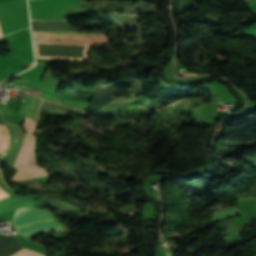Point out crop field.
Returning a JSON list of instances; mask_svg holds the SVG:
<instances>
[{"mask_svg": "<svg viewBox=\"0 0 256 256\" xmlns=\"http://www.w3.org/2000/svg\"><path fill=\"white\" fill-rule=\"evenodd\" d=\"M41 98H44L46 100H53V101H56V102H59V103L62 101L61 98H57L55 96L47 95V94H44V93H42Z\"/></svg>", "mask_w": 256, "mask_h": 256, "instance_id": "7", "label": "crop field"}, {"mask_svg": "<svg viewBox=\"0 0 256 256\" xmlns=\"http://www.w3.org/2000/svg\"><path fill=\"white\" fill-rule=\"evenodd\" d=\"M17 256H43L41 254H38L36 252H33V251H30V250H27V249H24L22 248L21 251L18 253Z\"/></svg>", "mask_w": 256, "mask_h": 256, "instance_id": "6", "label": "crop field"}, {"mask_svg": "<svg viewBox=\"0 0 256 256\" xmlns=\"http://www.w3.org/2000/svg\"><path fill=\"white\" fill-rule=\"evenodd\" d=\"M8 133L4 126H0V148L6 147L8 145Z\"/></svg>", "mask_w": 256, "mask_h": 256, "instance_id": "4", "label": "crop field"}, {"mask_svg": "<svg viewBox=\"0 0 256 256\" xmlns=\"http://www.w3.org/2000/svg\"><path fill=\"white\" fill-rule=\"evenodd\" d=\"M63 104L70 105V106L76 107L78 109H85V107L87 105L85 103L73 102V101H69V100H64Z\"/></svg>", "mask_w": 256, "mask_h": 256, "instance_id": "5", "label": "crop field"}, {"mask_svg": "<svg viewBox=\"0 0 256 256\" xmlns=\"http://www.w3.org/2000/svg\"><path fill=\"white\" fill-rule=\"evenodd\" d=\"M34 141H35V137L26 136L15 162V166L23 165V167L22 168L19 167L18 172L11 179L17 180V179L46 175L45 170L37 168L35 165ZM13 182L18 184L32 183V178L17 180Z\"/></svg>", "mask_w": 256, "mask_h": 256, "instance_id": "2", "label": "crop field"}, {"mask_svg": "<svg viewBox=\"0 0 256 256\" xmlns=\"http://www.w3.org/2000/svg\"><path fill=\"white\" fill-rule=\"evenodd\" d=\"M29 1H31V0H29Z\"/></svg>", "mask_w": 256, "mask_h": 256, "instance_id": "10", "label": "crop field"}, {"mask_svg": "<svg viewBox=\"0 0 256 256\" xmlns=\"http://www.w3.org/2000/svg\"><path fill=\"white\" fill-rule=\"evenodd\" d=\"M42 101L43 100L40 98L35 99L27 95L24 105L17 112L20 115L26 117L24 121V128L27 132V135L33 134Z\"/></svg>", "mask_w": 256, "mask_h": 256, "instance_id": "3", "label": "crop field"}, {"mask_svg": "<svg viewBox=\"0 0 256 256\" xmlns=\"http://www.w3.org/2000/svg\"><path fill=\"white\" fill-rule=\"evenodd\" d=\"M6 196H8V194H6L3 190L0 189V199Z\"/></svg>", "mask_w": 256, "mask_h": 256, "instance_id": "8", "label": "crop field"}, {"mask_svg": "<svg viewBox=\"0 0 256 256\" xmlns=\"http://www.w3.org/2000/svg\"><path fill=\"white\" fill-rule=\"evenodd\" d=\"M255 37H256V35H255Z\"/></svg>", "mask_w": 256, "mask_h": 256, "instance_id": "9", "label": "crop field"}, {"mask_svg": "<svg viewBox=\"0 0 256 256\" xmlns=\"http://www.w3.org/2000/svg\"><path fill=\"white\" fill-rule=\"evenodd\" d=\"M32 30L73 31L60 21H31ZM33 31L34 42L71 43L91 45L97 41H106L103 34L80 35L73 32Z\"/></svg>", "mask_w": 256, "mask_h": 256, "instance_id": "1", "label": "crop field"}]
</instances>
